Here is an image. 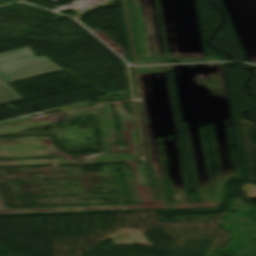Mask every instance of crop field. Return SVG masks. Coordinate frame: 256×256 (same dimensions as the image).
Wrapping results in <instances>:
<instances>
[{
    "label": "crop field",
    "instance_id": "obj_2",
    "mask_svg": "<svg viewBox=\"0 0 256 256\" xmlns=\"http://www.w3.org/2000/svg\"><path fill=\"white\" fill-rule=\"evenodd\" d=\"M221 101H222V107H223V113H224L225 119L230 118L228 104H227V98H226V92H224L223 95L221 96Z\"/></svg>",
    "mask_w": 256,
    "mask_h": 256
},
{
    "label": "crop field",
    "instance_id": "obj_1",
    "mask_svg": "<svg viewBox=\"0 0 256 256\" xmlns=\"http://www.w3.org/2000/svg\"><path fill=\"white\" fill-rule=\"evenodd\" d=\"M59 70L44 57L33 56L28 48L0 54V105L23 99L6 83Z\"/></svg>",
    "mask_w": 256,
    "mask_h": 256
},
{
    "label": "crop field",
    "instance_id": "obj_3",
    "mask_svg": "<svg viewBox=\"0 0 256 256\" xmlns=\"http://www.w3.org/2000/svg\"><path fill=\"white\" fill-rule=\"evenodd\" d=\"M145 73L163 72L161 66L144 67Z\"/></svg>",
    "mask_w": 256,
    "mask_h": 256
}]
</instances>
